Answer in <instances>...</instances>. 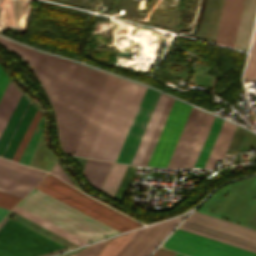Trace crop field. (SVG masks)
<instances>
[{"label":"crop field","instance_id":"crop-field-1","mask_svg":"<svg viewBox=\"0 0 256 256\" xmlns=\"http://www.w3.org/2000/svg\"><path fill=\"white\" fill-rule=\"evenodd\" d=\"M0 43L2 45H4L11 53L16 55L18 58H20L24 62H26L28 64V66L31 68V70L34 72L35 76L37 77L39 83L43 87V89L52 105V108L54 110L57 125H58L60 145L62 147V143H63V147L65 148V150L68 151L69 153L73 154L75 147L78 143V140L81 136V133L84 129V126L87 122L89 114L92 110V107L95 103V100L98 96L100 88H101L103 81L106 77V75H104L106 73L101 74L103 72H101V73H98L100 71L95 72L97 70L91 71L94 69L88 70L89 69L88 67L76 64V65H79V66H82V67H85L88 69H85L82 67L80 68L78 75L76 77V80L73 84V87H72L70 94L67 98V101L65 103V106H64L62 113L59 117L61 136H62V143H61L59 122H58V117H57L56 111L53 107V104H52L43 84L41 83L40 79L38 78V76L35 72L43 53H39V52L32 50L30 48H27V47H23L21 45H18L16 43L8 41L2 37H0ZM44 55H47V54H44ZM47 56L54 57L51 55H47ZM54 58L75 64L74 62H71V61H68L65 59H61L58 57H54ZM63 147H62V149H63ZM69 153H67V154H69Z\"/></svg>","mask_w":256,"mask_h":256},{"label":"crop field","instance_id":"crop-field-2","mask_svg":"<svg viewBox=\"0 0 256 256\" xmlns=\"http://www.w3.org/2000/svg\"><path fill=\"white\" fill-rule=\"evenodd\" d=\"M146 88L120 79L87 157L116 161Z\"/></svg>","mask_w":256,"mask_h":256},{"label":"crop field","instance_id":"crop-field-3","mask_svg":"<svg viewBox=\"0 0 256 256\" xmlns=\"http://www.w3.org/2000/svg\"><path fill=\"white\" fill-rule=\"evenodd\" d=\"M159 94V92L147 88L116 162L130 163ZM174 100L167 95L160 94L130 164L147 165Z\"/></svg>","mask_w":256,"mask_h":256},{"label":"crop field","instance_id":"crop-field-4","mask_svg":"<svg viewBox=\"0 0 256 256\" xmlns=\"http://www.w3.org/2000/svg\"><path fill=\"white\" fill-rule=\"evenodd\" d=\"M17 206L88 243L120 233L35 188Z\"/></svg>","mask_w":256,"mask_h":256},{"label":"crop field","instance_id":"crop-field-5","mask_svg":"<svg viewBox=\"0 0 256 256\" xmlns=\"http://www.w3.org/2000/svg\"><path fill=\"white\" fill-rule=\"evenodd\" d=\"M35 188L121 232L142 226V224L92 200L85 194L50 174Z\"/></svg>","mask_w":256,"mask_h":256},{"label":"crop field","instance_id":"crop-field-6","mask_svg":"<svg viewBox=\"0 0 256 256\" xmlns=\"http://www.w3.org/2000/svg\"><path fill=\"white\" fill-rule=\"evenodd\" d=\"M178 229L256 253V231L194 211Z\"/></svg>","mask_w":256,"mask_h":256},{"label":"crop field","instance_id":"crop-field-7","mask_svg":"<svg viewBox=\"0 0 256 256\" xmlns=\"http://www.w3.org/2000/svg\"><path fill=\"white\" fill-rule=\"evenodd\" d=\"M64 250L6 217L0 223V256H47Z\"/></svg>","mask_w":256,"mask_h":256},{"label":"crop field","instance_id":"crop-field-8","mask_svg":"<svg viewBox=\"0 0 256 256\" xmlns=\"http://www.w3.org/2000/svg\"><path fill=\"white\" fill-rule=\"evenodd\" d=\"M243 0H224L216 43L233 45ZM256 13V0H244L233 47L247 50Z\"/></svg>","mask_w":256,"mask_h":256},{"label":"crop field","instance_id":"crop-field-9","mask_svg":"<svg viewBox=\"0 0 256 256\" xmlns=\"http://www.w3.org/2000/svg\"><path fill=\"white\" fill-rule=\"evenodd\" d=\"M186 214L179 216L175 219L163 222L160 226V224L152 225L146 228H142L138 231L128 233L119 237L112 238L108 241V243L102 248V250L96 255V256H117L118 253L125 247H126L119 253L118 256H134L135 253L143 247L136 253L135 256H148L156 247L157 245L169 234V232L182 220V218Z\"/></svg>","mask_w":256,"mask_h":256},{"label":"crop field","instance_id":"crop-field-10","mask_svg":"<svg viewBox=\"0 0 256 256\" xmlns=\"http://www.w3.org/2000/svg\"><path fill=\"white\" fill-rule=\"evenodd\" d=\"M79 68V66L44 55L41 58L36 72L51 97L58 117Z\"/></svg>","mask_w":256,"mask_h":256},{"label":"crop field","instance_id":"crop-field-11","mask_svg":"<svg viewBox=\"0 0 256 256\" xmlns=\"http://www.w3.org/2000/svg\"><path fill=\"white\" fill-rule=\"evenodd\" d=\"M161 246L191 256H256L254 253L178 229Z\"/></svg>","mask_w":256,"mask_h":256},{"label":"crop field","instance_id":"crop-field-12","mask_svg":"<svg viewBox=\"0 0 256 256\" xmlns=\"http://www.w3.org/2000/svg\"><path fill=\"white\" fill-rule=\"evenodd\" d=\"M191 108L175 100L147 166H167Z\"/></svg>","mask_w":256,"mask_h":256},{"label":"crop field","instance_id":"crop-field-13","mask_svg":"<svg viewBox=\"0 0 256 256\" xmlns=\"http://www.w3.org/2000/svg\"><path fill=\"white\" fill-rule=\"evenodd\" d=\"M36 109L22 94L0 137V156L10 160L12 159Z\"/></svg>","mask_w":256,"mask_h":256},{"label":"crop field","instance_id":"crop-field-14","mask_svg":"<svg viewBox=\"0 0 256 256\" xmlns=\"http://www.w3.org/2000/svg\"><path fill=\"white\" fill-rule=\"evenodd\" d=\"M119 79V77L107 75L74 155L87 156Z\"/></svg>","mask_w":256,"mask_h":256},{"label":"crop field","instance_id":"crop-field-15","mask_svg":"<svg viewBox=\"0 0 256 256\" xmlns=\"http://www.w3.org/2000/svg\"><path fill=\"white\" fill-rule=\"evenodd\" d=\"M222 121V119H219L217 117L215 118L194 167H204ZM235 127V125L224 120V123L221 127L219 135L216 139V142L213 146V149L204 168H213L216 160H220L223 158Z\"/></svg>","mask_w":256,"mask_h":256},{"label":"crop field","instance_id":"crop-field-16","mask_svg":"<svg viewBox=\"0 0 256 256\" xmlns=\"http://www.w3.org/2000/svg\"><path fill=\"white\" fill-rule=\"evenodd\" d=\"M206 115V113L192 108L167 167H185Z\"/></svg>","mask_w":256,"mask_h":256},{"label":"crop field","instance_id":"crop-field-17","mask_svg":"<svg viewBox=\"0 0 256 256\" xmlns=\"http://www.w3.org/2000/svg\"><path fill=\"white\" fill-rule=\"evenodd\" d=\"M124 166L125 165L113 163L99 191L105 193L108 196H111ZM136 169L137 168L134 166H125L116 185V188L111 196L112 198L119 201L123 200L126 191L134 177Z\"/></svg>","mask_w":256,"mask_h":256},{"label":"crop field","instance_id":"crop-field-18","mask_svg":"<svg viewBox=\"0 0 256 256\" xmlns=\"http://www.w3.org/2000/svg\"><path fill=\"white\" fill-rule=\"evenodd\" d=\"M21 92L9 81L0 99V134L15 108Z\"/></svg>","mask_w":256,"mask_h":256},{"label":"crop field","instance_id":"crop-field-19","mask_svg":"<svg viewBox=\"0 0 256 256\" xmlns=\"http://www.w3.org/2000/svg\"><path fill=\"white\" fill-rule=\"evenodd\" d=\"M110 165L111 163L109 162L89 159L84 168L83 174L95 188L99 189Z\"/></svg>","mask_w":256,"mask_h":256},{"label":"crop field","instance_id":"crop-field-20","mask_svg":"<svg viewBox=\"0 0 256 256\" xmlns=\"http://www.w3.org/2000/svg\"><path fill=\"white\" fill-rule=\"evenodd\" d=\"M12 211H14V212H16V213H18V214L28 218L29 220H31V221H33V222H35V223L45 227L46 229H48V230H50V231H52V232L62 236L63 238H65V239H67V240H69V241H71V242H73V243H75V244H77L79 246L87 244L86 242H84V241H82V240H80V239L70 235L69 233H67V232H65V231H63V230L53 226L52 224H50V223H48V222H46V221H44V220L34 216L33 214H31V213H29V212H27V211H25V210H23V209H21V208H19L17 206Z\"/></svg>","mask_w":256,"mask_h":256},{"label":"crop field","instance_id":"crop-field-21","mask_svg":"<svg viewBox=\"0 0 256 256\" xmlns=\"http://www.w3.org/2000/svg\"><path fill=\"white\" fill-rule=\"evenodd\" d=\"M42 131H43V117L41 116L20 160L19 163L29 164L41 138H42Z\"/></svg>","mask_w":256,"mask_h":256},{"label":"crop field","instance_id":"crop-field-22","mask_svg":"<svg viewBox=\"0 0 256 256\" xmlns=\"http://www.w3.org/2000/svg\"><path fill=\"white\" fill-rule=\"evenodd\" d=\"M0 177L34 187L40 178L0 166Z\"/></svg>","mask_w":256,"mask_h":256},{"label":"crop field","instance_id":"crop-field-23","mask_svg":"<svg viewBox=\"0 0 256 256\" xmlns=\"http://www.w3.org/2000/svg\"><path fill=\"white\" fill-rule=\"evenodd\" d=\"M214 118L215 117L212 116V115H209V114L207 115V117L205 119V122L203 124V127H202V129L200 131L198 139H197V141L195 143V146L193 148V151H192V153L190 155V158H189L188 163H187L185 168H192L193 167V165H194V163L196 161V158H197V156H198V154L200 152V149H201V147L203 145V142H204V140H205V138L207 136V133H208L210 127H211V124H212Z\"/></svg>","mask_w":256,"mask_h":256},{"label":"crop field","instance_id":"crop-field-24","mask_svg":"<svg viewBox=\"0 0 256 256\" xmlns=\"http://www.w3.org/2000/svg\"><path fill=\"white\" fill-rule=\"evenodd\" d=\"M30 189L31 187L0 178L1 191L14 194L23 198Z\"/></svg>","mask_w":256,"mask_h":256},{"label":"crop field","instance_id":"crop-field-25","mask_svg":"<svg viewBox=\"0 0 256 256\" xmlns=\"http://www.w3.org/2000/svg\"><path fill=\"white\" fill-rule=\"evenodd\" d=\"M244 79H256V27L246 66Z\"/></svg>","mask_w":256,"mask_h":256},{"label":"crop field","instance_id":"crop-field-26","mask_svg":"<svg viewBox=\"0 0 256 256\" xmlns=\"http://www.w3.org/2000/svg\"><path fill=\"white\" fill-rule=\"evenodd\" d=\"M40 116H41V112L39 110H37L32 122H31V124H30V126H29V128H28V130H27V132H26V134H25V136H24V138H23L15 156H14V158H13V161L18 162V160H19V158H20V156H21V154H22V152H23V150H24V148H25V146H26V144H27V142H28V140H29V138H30L37 122H38V120H39V118H40Z\"/></svg>","mask_w":256,"mask_h":256},{"label":"crop field","instance_id":"crop-field-27","mask_svg":"<svg viewBox=\"0 0 256 256\" xmlns=\"http://www.w3.org/2000/svg\"><path fill=\"white\" fill-rule=\"evenodd\" d=\"M19 199L20 197L10 195L0 191V207L10 210ZM3 208H0V220L7 212H9V210L3 209Z\"/></svg>","mask_w":256,"mask_h":256},{"label":"crop field","instance_id":"crop-field-28","mask_svg":"<svg viewBox=\"0 0 256 256\" xmlns=\"http://www.w3.org/2000/svg\"><path fill=\"white\" fill-rule=\"evenodd\" d=\"M0 165L6 166L9 168L18 170V171H22V172H25V173H28V174H31V175H34V176H37L40 178H42L46 174V172L39 171V170L30 168L27 166H23V165H20V164L11 162V161H7V160L1 159V158H0Z\"/></svg>","mask_w":256,"mask_h":256},{"label":"crop field","instance_id":"crop-field-29","mask_svg":"<svg viewBox=\"0 0 256 256\" xmlns=\"http://www.w3.org/2000/svg\"><path fill=\"white\" fill-rule=\"evenodd\" d=\"M107 240L83 248L77 256H94Z\"/></svg>","mask_w":256,"mask_h":256},{"label":"crop field","instance_id":"crop-field-30","mask_svg":"<svg viewBox=\"0 0 256 256\" xmlns=\"http://www.w3.org/2000/svg\"><path fill=\"white\" fill-rule=\"evenodd\" d=\"M50 173L54 174L55 176L61 178L62 180L66 181L67 183L74 186L73 183L70 181V179L67 177V175L64 173V171L61 169V167L58 165V163L56 164V166L52 169V171Z\"/></svg>","mask_w":256,"mask_h":256},{"label":"crop field","instance_id":"crop-field-31","mask_svg":"<svg viewBox=\"0 0 256 256\" xmlns=\"http://www.w3.org/2000/svg\"><path fill=\"white\" fill-rule=\"evenodd\" d=\"M8 78L6 77L5 73L3 70L0 68V97L8 83Z\"/></svg>","mask_w":256,"mask_h":256},{"label":"crop field","instance_id":"crop-field-32","mask_svg":"<svg viewBox=\"0 0 256 256\" xmlns=\"http://www.w3.org/2000/svg\"><path fill=\"white\" fill-rule=\"evenodd\" d=\"M176 252L169 251L163 248H159L157 251H155L151 256H175Z\"/></svg>","mask_w":256,"mask_h":256},{"label":"crop field","instance_id":"crop-field-33","mask_svg":"<svg viewBox=\"0 0 256 256\" xmlns=\"http://www.w3.org/2000/svg\"><path fill=\"white\" fill-rule=\"evenodd\" d=\"M81 249H82V248H81ZM81 249L73 250V251H70V252H67V253H64V254L58 255V256H65V255H68V254H71V253H75V252L80 251ZM76 254H77V253L72 254V255H68V256H76Z\"/></svg>","mask_w":256,"mask_h":256},{"label":"crop field","instance_id":"crop-field-34","mask_svg":"<svg viewBox=\"0 0 256 256\" xmlns=\"http://www.w3.org/2000/svg\"><path fill=\"white\" fill-rule=\"evenodd\" d=\"M176 256H182V254L177 253Z\"/></svg>","mask_w":256,"mask_h":256},{"label":"crop field","instance_id":"crop-field-35","mask_svg":"<svg viewBox=\"0 0 256 256\" xmlns=\"http://www.w3.org/2000/svg\"><path fill=\"white\" fill-rule=\"evenodd\" d=\"M1 1V0H0Z\"/></svg>","mask_w":256,"mask_h":256}]
</instances>
